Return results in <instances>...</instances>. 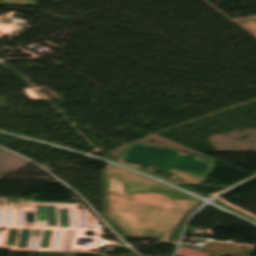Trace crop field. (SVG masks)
Wrapping results in <instances>:
<instances>
[{
	"label": "crop field",
	"mask_w": 256,
	"mask_h": 256,
	"mask_svg": "<svg viewBox=\"0 0 256 256\" xmlns=\"http://www.w3.org/2000/svg\"><path fill=\"white\" fill-rule=\"evenodd\" d=\"M2 4H19V5H33L34 0H0Z\"/></svg>",
	"instance_id": "crop-field-6"
},
{
	"label": "crop field",
	"mask_w": 256,
	"mask_h": 256,
	"mask_svg": "<svg viewBox=\"0 0 256 256\" xmlns=\"http://www.w3.org/2000/svg\"><path fill=\"white\" fill-rule=\"evenodd\" d=\"M200 250L228 256H251V254L256 250V247L210 242Z\"/></svg>",
	"instance_id": "crop-field-3"
},
{
	"label": "crop field",
	"mask_w": 256,
	"mask_h": 256,
	"mask_svg": "<svg viewBox=\"0 0 256 256\" xmlns=\"http://www.w3.org/2000/svg\"><path fill=\"white\" fill-rule=\"evenodd\" d=\"M256 36V17L235 20Z\"/></svg>",
	"instance_id": "crop-field-5"
},
{
	"label": "crop field",
	"mask_w": 256,
	"mask_h": 256,
	"mask_svg": "<svg viewBox=\"0 0 256 256\" xmlns=\"http://www.w3.org/2000/svg\"><path fill=\"white\" fill-rule=\"evenodd\" d=\"M38 256H73V254L68 253H37Z\"/></svg>",
	"instance_id": "crop-field-7"
},
{
	"label": "crop field",
	"mask_w": 256,
	"mask_h": 256,
	"mask_svg": "<svg viewBox=\"0 0 256 256\" xmlns=\"http://www.w3.org/2000/svg\"><path fill=\"white\" fill-rule=\"evenodd\" d=\"M109 218L127 235L169 240L197 201L129 173L107 191Z\"/></svg>",
	"instance_id": "crop-field-1"
},
{
	"label": "crop field",
	"mask_w": 256,
	"mask_h": 256,
	"mask_svg": "<svg viewBox=\"0 0 256 256\" xmlns=\"http://www.w3.org/2000/svg\"><path fill=\"white\" fill-rule=\"evenodd\" d=\"M128 172L107 164V190L122 179Z\"/></svg>",
	"instance_id": "crop-field-4"
},
{
	"label": "crop field",
	"mask_w": 256,
	"mask_h": 256,
	"mask_svg": "<svg viewBox=\"0 0 256 256\" xmlns=\"http://www.w3.org/2000/svg\"><path fill=\"white\" fill-rule=\"evenodd\" d=\"M118 162L172 183L191 184H199L205 179L214 164L178 151L135 144H131Z\"/></svg>",
	"instance_id": "crop-field-2"
}]
</instances>
